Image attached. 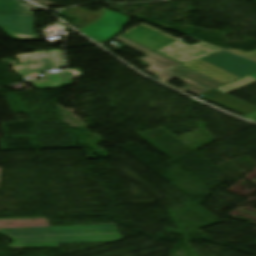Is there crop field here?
Returning <instances> with one entry per match:
<instances>
[{
    "instance_id": "1",
    "label": "crop field",
    "mask_w": 256,
    "mask_h": 256,
    "mask_svg": "<svg viewBox=\"0 0 256 256\" xmlns=\"http://www.w3.org/2000/svg\"><path fill=\"white\" fill-rule=\"evenodd\" d=\"M0 234L11 238L10 249L58 247V244L104 243L121 240L116 225L20 228L0 230Z\"/></svg>"
},
{
    "instance_id": "2",
    "label": "crop field",
    "mask_w": 256,
    "mask_h": 256,
    "mask_svg": "<svg viewBox=\"0 0 256 256\" xmlns=\"http://www.w3.org/2000/svg\"><path fill=\"white\" fill-rule=\"evenodd\" d=\"M116 40H119L124 43V45L135 49L145 55L147 57L140 58L139 60L145 62L146 64L151 65L148 67L146 72L150 74H154L159 78V81H162L164 83L177 78L179 80H182L186 82V84L181 87L179 90L183 92H190L192 94L198 95L203 94L213 88H216L222 84L215 82L211 79H208L202 75H199L195 72H192L184 67H182L180 64L158 54L155 53L143 46H140L130 40H127L125 38L119 37ZM168 84V83H166ZM170 85V84H168ZM172 86V85H170ZM174 87V86H172ZM176 88V87H174ZM178 89V88H176Z\"/></svg>"
},
{
    "instance_id": "3",
    "label": "crop field",
    "mask_w": 256,
    "mask_h": 256,
    "mask_svg": "<svg viewBox=\"0 0 256 256\" xmlns=\"http://www.w3.org/2000/svg\"><path fill=\"white\" fill-rule=\"evenodd\" d=\"M14 58L22 62V65L13 66L14 72L22 77L30 74H40L41 70L47 68L64 67L61 50L36 51L33 54H21Z\"/></svg>"
},
{
    "instance_id": "4",
    "label": "crop field",
    "mask_w": 256,
    "mask_h": 256,
    "mask_svg": "<svg viewBox=\"0 0 256 256\" xmlns=\"http://www.w3.org/2000/svg\"><path fill=\"white\" fill-rule=\"evenodd\" d=\"M220 51L223 50L202 42L188 46L184 43L177 41L157 52L171 57L183 64L185 62L205 57Z\"/></svg>"
},
{
    "instance_id": "5",
    "label": "crop field",
    "mask_w": 256,
    "mask_h": 256,
    "mask_svg": "<svg viewBox=\"0 0 256 256\" xmlns=\"http://www.w3.org/2000/svg\"><path fill=\"white\" fill-rule=\"evenodd\" d=\"M128 19L129 17L105 10L97 23L80 31L107 41L118 35L121 27L129 23Z\"/></svg>"
},
{
    "instance_id": "6",
    "label": "crop field",
    "mask_w": 256,
    "mask_h": 256,
    "mask_svg": "<svg viewBox=\"0 0 256 256\" xmlns=\"http://www.w3.org/2000/svg\"><path fill=\"white\" fill-rule=\"evenodd\" d=\"M239 77L256 71V62L247 60L235 54L223 51L205 58H201Z\"/></svg>"
},
{
    "instance_id": "7",
    "label": "crop field",
    "mask_w": 256,
    "mask_h": 256,
    "mask_svg": "<svg viewBox=\"0 0 256 256\" xmlns=\"http://www.w3.org/2000/svg\"><path fill=\"white\" fill-rule=\"evenodd\" d=\"M0 29L17 40H34L33 17L0 15Z\"/></svg>"
},
{
    "instance_id": "8",
    "label": "crop field",
    "mask_w": 256,
    "mask_h": 256,
    "mask_svg": "<svg viewBox=\"0 0 256 256\" xmlns=\"http://www.w3.org/2000/svg\"><path fill=\"white\" fill-rule=\"evenodd\" d=\"M123 36L154 51L176 41L143 25Z\"/></svg>"
},
{
    "instance_id": "9",
    "label": "crop field",
    "mask_w": 256,
    "mask_h": 256,
    "mask_svg": "<svg viewBox=\"0 0 256 256\" xmlns=\"http://www.w3.org/2000/svg\"><path fill=\"white\" fill-rule=\"evenodd\" d=\"M202 96H203L202 98L205 100H208L210 102H213V103L223 106L225 108L233 110V111L240 113L244 116L256 111L255 107L250 106V105H248L244 102H241L237 99H234L228 95H225L215 89L208 93L203 94Z\"/></svg>"
},
{
    "instance_id": "10",
    "label": "crop field",
    "mask_w": 256,
    "mask_h": 256,
    "mask_svg": "<svg viewBox=\"0 0 256 256\" xmlns=\"http://www.w3.org/2000/svg\"><path fill=\"white\" fill-rule=\"evenodd\" d=\"M184 66H187L193 70H196L204 75H207L223 84H226L232 80H235L239 77L226 72L214 65H211L201 59L192 61V62H188L183 64Z\"/></svg>"
},
{
    "instance_id": "11",
    "label": "crop field",
    "mask_w": 256,
    "mask_h": 256,
    "mask_svg": "<svg viewBox=\"0 0 256 256\" xmlns=\"http://www.w3.org/2000/svg\"><path fill=\"white\" fill-rule=\"evenodd\" d=\"M0 14L33 16L28 7L20 4V0H0Z\"/></svg>"
},
{
    "instance_id": "12",
    "label": "crop field",
    "mask_w": 256,
    "mask_h": 256,
    "mask_svg": "<svg viewBox=\"0 0 256 256\" xmlns=\"http://www.w3.org/2000/svg\"><path fill=\"white\" fill-rule=\"evenodd\" d=\"M254 82H256V79H254V78H252L250 76H247V77H245L243 79L234 81L232 83H229V84H226V85H222V86H220V87H218L216 89H218V90H220V91H222V92L227 94V93L235 91V90H237L239 88H242V87L247 86V85H249L251 83H254Z\"/></svg>"
},
{
    "instance_id": "13",
    "label": "crop field",
    "mask_w": 256,
    "mask_h": 256,
    "mask_svg": "<svg viewBox=\"0 0 256 256\" xmlns=\"http://www.w3.org/2000/svg\"><path fill=\"white\" fill-rule=\"evenodd\" d=\"M45 77L57 85L62 83L64 84V86L72 84V75L67 70L61 73H57L55 75Z\"/></svg>"
},
{
    "instance_id": "14",
    "label": "crop field",
    "mask_w": 256,
    "mask_h": 256,
    "mask_svg": "<svg viewBox=\"0 0 256 256\" xmlns=\"http://www.w3.org/2000/svg\"><path fill=\"white\" fill-rule=\"evenodd\" d=\"M32 85L38 87V88H56L58 86L52 84L50 81H48L47 79L40 81V82H33L31 83ZM37 88V89H38Z\"/></svg>"
},
{
    "instance_id": "15",
    "label": "crop field",
    "mask_w": 256,
    "mask_h": 256,
    "mask_svg": "<svg viewBox=\"0 0 256 256\" xmlns=\"http://www.w3.org/2000/svg\"><path fill=\"white\" fill-rule=\"evenodd\" d=\"M227 50L230 51V52L240 54V55H243V56H246V57H249V58H252V59L256 60V50L252 51V52H248V53H244L240 50H233V49H227Z\"/></svg>"
},
{
    "instance_id": "16",
    "label": "crop field",
    "mask_w": 256,
    "mask_h": 256,
    "mask_svg": "<svg viewBox=\"0 0 256 256\" xmlns=\"http://www.w3.org/2000/svg\"><path fill=\"white\" fill-rule=\"evenodd\" d=\"M243 118H246V119H249V120H252V121L256 122V112L247 116V117H243Z\"/></svg>"
},
{
    "instance_id": "17",
    "label": "crop field",
    "mask_w": 256,
    "mask_h": 256,
    "mask_svg": "<svg viewBox=\"0 0 256 256\" xmlns=\"http://www.w3.org/2000/svg\"><path fill=\"white\" fill-rule=\"evenodd\" d=\"M250 76H252V77L256 78V73H254V74H252V75H250Z\"/></svg>"
}]
</instances>
